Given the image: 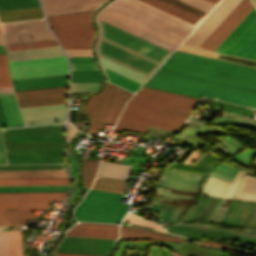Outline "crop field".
I'll return each instance as SVG.
<instances>
[{"label":"crop field","mask_w":256,"mask_h":256,"mask_svg":"<svg viewBox=\"0 0 256 256\" xmlns=\"http://www.w3.org/2000/svg\"><path fill=\"white\" fill-rule=\"evenodd\" d=\"M215 51L256 61L255 7Z\"/></svg>","instance_id":"6"},{"label":"crop field","mask_w":256,"mask_h":256,"mask_svg":"<svg viewBox=\"0 0 256 256\" xmlns=\"http://www.w3.org/2000/svg\"><path fill=\"white\" fill-rule=\"evenodd\" d=\"M0 96H13V93H0Z\"/></svg>","instance_id":"66"},{"label":"crop field","mask_w":256,"mask_h":256,"mask_svg":"<svg viewBox=\"0 0 256 256\" xmlns=\"http://www.w3.org/2000/svg\"><path fill=\"white\" fill-rule=\"evenodd\" d=\"M67 57L92 56L91 49L64 50Z\"/></svg>","instance_id":"49"},{"label":"crop field","mask_w":256,"mask_h":256,"mask_svg":"<svg viewBox=\"0 0 256 256\" xmlns=\"http://www.w3.org/2000/svg\"><path fill=\"white\" fill-rule=\"evenodd\" d=\"M66 193H0V209L49 210V201H64Z\"/></svg>","instance_id":"8"},{"label":"crop field","mask_w":256,"mask_h":256,"mask_svg":"<svg viewBox=\"0 0 256 256\" xmlns=\"http://www.w3.org/2000/svg\"><path fill=\"white\" fill-rule=\"evenodd\" d=\"M68 177L66 170L0 171V178Z\"/></svg>","instance_id":"24"},{"label":"crop field","mask_w":256,"mask_h":256,"mask_svg":"<svg viewBox=\"0 0 256 256\" xmlns=\"http://www.w3.org/2000/svg\"><path fill=\"white\" fill-rule=\"evenodd\" d=\"M0 86H12L7 66H0Z\"/></svg>","instance_id":"48"},{"label":"crop field","mask_w":256,"mask_h":256,"mask_svg":"<svg viewBox=\"0 0 256 256\" xmlns=\"http://www.w3.org/2000/svg\"><path fill=\"white\" fill-rule=\"evenodd\" d=\"M56 256H99V255H81V254H63V253H55Z\"/></svg>","instance_id":"60"},{"label":"crop field","mask_w":256,"mask_h":256,"mask_svg":"<svg viewBox=\"0 0 256 256\" xmlns=\"http://www.w3.org/2000/svg\"><path fill=\"white\" fill-rule=\"evenodd\" d=\"M128 206L127 204L84 198L76 207L74 216L78 219L120 222Z\"/></svg>","instance_id":"10"},{"label":"crop field","mask_w":256,"mask_h":256,"mask_svg":"<svg viewBox=\"0 0 256 256\" xmlns=\"http://www.w3.org/2000/svg\"><path fill=\"white\" fill-rule=\"evenodd\" d=\"M69 60L70 62H94L92 57L69 58Z\"/></svg>","instance_id":"54"},{"label":"crop field","mask_w":256,"mask_h":256,"mask_svg":"<svg viewBox=\"0 0 256 256\" xmlns=\"http://www.w3.org/2000/svg\"><path fill=\"white\" fill-rule=\"evenodd\" d=\"M125 182L123 180L97 176L91 188L122 193Z\"/></svg>","instance_id":"33"},{"label":"crop field","mask_w":256,"mask_h":256,"mask_svg":"<svg viewBox=\"0 0 256 256\" xmlns=\"http://www.w3.org/2000/svg\"><path fill=\"white\" fill-rule=\"evenodd\" d=\"M245 171H238L231 183L210 177L202 192L209 196L228 198L232 197Z\"/></svg>","instance_id":"18"},{"label":"crop field","mask_w":256,"mask_h":256,"mask_svg":"<svg viewBox=\"0 0 256 256\" xmlns=\"http://www.w3.org/2000/svg\"><path fill=\"white\" fill-rule=\"evenodd\" d=\"M198 242L203 243V244H207V245H211V246H221V247H226V248H230V249L239 250V251H243V252H246V253L254 254L251 251H247V250H244V249H240V248H236V247H232V246H228V245H223V244H219V243H215V242H210V241H198Z\"/></svg>","instance_id":"51"},{"label":"crop field","mask_w":256,"mask_h":256,"mask_svg":"<svg viewBox=\"0 0 256 256\" xmlns=\"http://www.w3.org/2000/svg\"><path fill=\"white\" fill-rule=\"evenodd\" d=\"M0 45H4L3 39H2L1 29H0ZM0 53H5L4 46H0Z\"/></svg>","instance_id":"61"},{"label":"crop field","mask_w":256,"mask_h":256,"mask_svg":"<svg viewBox=\"0 0 256 256\" xmlns=\"http://www.w3.org/2000/svg\"><path fill=\"white\" fill-rule=\"evenodd\" d=\"M87 198H93V199H100V200H106V201H113L118 202L121 195L120 194H114L104 191H98L90 189V191L85 196Z\"/></svg>","instance_id":"42"},{"label":"crop field","mask_w":256,"mask_h":256,"mask_svg":"<svg viewBox=\"0 0 256 256\" xmlns=\"http://www.w3.org/2000/svg\"><path fill=\"white\" fill-rule=\"evenodd\" d=\"M72 82H101L99 71H72Z\"/></svg>","instance_id":"39"},{"label":"crop field","mask_w":256,"mask_h":256,"mask_svg":"<svg viewBox=\"0 0 256 256\" xmlns=\"http://www.w3.org/2000/svg\"><path fill=\"white\" fill-rule=\"evenodd\" d=\"M253 7L250 0H242L199 48L214 51Z\"/></svg>","instance_id":"12"},{"label":"crop field","mask_w":256,"mask_h":256,"mask_svg":"<svg viewBox=\"0 0 256 256\" xmlns=\"http://www.w3.org/2000/svg\"><path fill=\"white\" fill-rule=\"evenodd\" d=\"M0 65H7L5 55H0Z\"/></svg>","instance_id":"63"},{"label":"crop field","mask_w":256,"mask_h":256,"mask_svg":"<svg viewBox=\"0 0 256 256\" xmlns=\"http://www.w3.org/2000/svg\"><path fill=\"white\" fill-rule=\"evenodd\" d=\"M132 95V93L107 82L101 92L86 102L85 112L91 123L88 132L95 133L105 124L114 125L124 103Z\"/></svg>","instance_id":"5"},{"label":"crop field","mask_w":256,"mask_h":256,"mask_svg":"<svg viewBox=\"0 0 256 256\" xmlns=\"http://www.w3.org/2000/svg\"><path fill=\"white\" fill-rule=\"evenodd\" d=\"M233 202H234V200H232V202H231V204H230V206H229V210H228V213H227V215H226V217H225V219H224V221H223V224L225 223V221H226V219H227V217H228V214H229V212H230V209H231V207H232V204H233ZM222 220V219H221ZM221 222V221H220Z\"/></svg>","instance_id":"64"},{"label":"crop field","mask_w":256,"mask_h":256,"mask_svg":"<svg viewBox=\"0 0 256 256\" xmlns=\"http://www.w3.org/2000/svg\"><path fill=\"white\" fill-rule=\"evenodd\" d=\"M72 70H98L96 63H70Z\"/></svg>","instance_id":"50"},{"label":"crop field","mask_w":256,"mask_h":256,"mask_svg":"<svg viewBox=\"0 0 256 256\" xmlns=\"http://www.w3.org/2000/svg\"><path fill=\"white\" fill-rule=\"evenodd\" d=\"M104 0H42L46 15L94 9Z\"/></svg>","instance_id":"17"},{"label":"crop field","mask_w":256,"mask_h":256,"mask_svg":"<svg viewBox=\"0 0 256 256\" xmlns=\"http://www.w3.org/2000/svg\"><path fill=\"white\" fill-rule=\"evenodd\" d=\"M42 17L43 15L40 7L0 12L1 22Z\"/></svg>","instance_id":"26"},{"label":"crop field","mask_w":256,"mask_h":256,"mask_svg":"<svg viewBox=\"0 0 256 256\" xmlns=\"http://www.w3.org/2000/svg\"><path fill=\"white\" fill-rule=\"evenodd\" d=\"M0 127H8L0 106Z\"/></svg>","instance_id":"58"},{"label":"crop field","mask_w":256,"mask_h":256,"mask_svg":"<svg viewBox=\"0 0 256 256\" xmlns=\"http://www.w3.org/2000/svg\"><path fill=\"white\" fill-rule=\"evenodd\" d=\"M144 86L256 108V68L178 51Z\"/></svg>","instance_id":"2"},{"label":"crop field","mask_w":256,"mask_h":256,"mask_svg":"<svg viewBox=\"0 0 256 256\" xmlns=\"http://www.w3.org/2000/svg\"><path fill=\"white\" fill-rule=\"evenodd\" d=\"M200 158L204 159L206 162H208L210 165H212L214 167V165L216 163H218L219 161H217L216 159H214L213 157L209 156V155H206V154H203ZM198 161H200L201 163H203L205 166L209 167V168H213L211 167L208 163H206L204 160L200 159ZM196 162L195 164H193L195 167L199 168V169H202L204 171H209L210 169L205 167L204 165H202L200 162ZM172 165H176V166H180V167H184V168H188V169H192V170H196V171H200V172H204L202 170H199L191 165H187V164H180V163H176V162H173ZM172 165H169L170 167H174V168H178V169H181V170H185V171H189V172H193V173H197V174H201V175H204L203 173H199V172H195V171H191V170H188V169H184V168H180V167H176V166H172ZM206 173V172H204Z\"/></svg>","instance_id":"34"},{"label":"crop field","mask_w":256,"mask_h":256,"mask_svg":"<svg viewBox=\"0 0 256 256\" xmlns=\"http://www.w3.org/2000/svg\"><path fill=\"white\" fill-rule=\"evenodd\" d=\"M8 164L65 163L64 150L5 151Z\"/></svg>","instance_id":"15"},{"label":"crop field","mask_w":256,"mask_h":256,"mask_svg":"<svg viewBox=\"0 0 256 256\" xmlns=\"http://www.w3.org/2000/svg\"><path fill=\"white\" fill-rule=\"evenodd\" d=\"M120 239H156L183 242L184 240L167 235L157 234L137 228L121 226Z\"/></svg>","instance_id":"21"},{"label":"crop field","mask_w":256,"mask_h":256,"mask_svg":"<svg viewBox=\"0 0 256 256\" xmlns=\"http://www.w3.org/2000/svg\"><path fill=\"white\" fill-rule=\"evenodd\" d=\"M68 184V178L0 179V185Z\"/></svg>","instance_id":"29"},{"label":"crop field","mask_w":256,"mask_h":256,"mask_svg":"<svg viewBox=\"0 0 256 256\" xmlns=\"http://www.w3.org/2000/svg\"><path fill=\"white\" fill-rule=\"evenodd\" d=\"M98 18L171 52L190 31L123 0H114ZM97 18V53L149 77L171 52Z\"/></svg>","instance_id":"1"},{"label":"crop field","mask_w":256,"mask_h":256,"mask_svg":"<svg viewBox=\"0 0 256 256\" xmlns=\"http://www.w3.org/2000/svg\"><path fill=\"white\" fill-rule=\"evenodd\" d=\"M54 45H57L56 40L37 42V43H27V44H22V45L21 44L9 45V46H6V48H7V51H11V50L46 47V46H54Z\"/></svg>","instance_id":"43"},{"label":"crop field","mask_w":256,"mask_h":256,"mask_svg":"<svg viewBox=\"0 0 256 256\" xmlns=\"http://www.w3.org/2000/svg\"><path fill=\"white\" fill-rule=\"evenodd\" d=\"M92 11L47 16V20L63 49L91 48L94 28Z\"/></svg>","instance_id":"4"},{"label":"crop field","mask_w":256,"mask_h":256,"mask_svg":"<svg viewBox=\"0 0 256 256\" xmlns=\"http://www.w3.org/2000/svg\"><path fill=\"white\" fill-rule=\"evenodd\" d=\"M246 205H247V202H246V204H245V207H246ZM246 209H247V208H246ZM244 211H245V208H244ZM243 213H244V212H243ZM245 214H246V212H245ZM244 217H245V215L242 214L241 219H240V221H239V223H238L239 226L241 225V223H242Z\"/></svg>","instance_id":"65"},{"label":"crop field","mask_w":256,"mask_h":256,"mask_svg":"<svg viewBox=\"0 0 256 256\" xmlns=\"http://www.w3.org/2000/svg\"><path fill=\"white\" fill-rule=\"evenodd\" d=\"M255 213H256V204H255V206H254V208H253V210H252V213H251V215H250L249 221H248L247 226H246L245 229H249V228H250V226H251V224H252V221H253V218H254V216H255Z\"/></svg>","instance_id":"57"},{"label":"crop field","mask_w":256,"mask_h":256,"mask_svg":"<svg viewBox=\"0 0 256 256\" xmlns=\"http://www.w3.org/2000/svg\"><path fill=\"white\" fill-rule=\"evenodd\" d=\"M99 58H100V61H101L103 67L110 69L116 73H119L125 77H128L132 80H135L141 84H143L145 82V80L147 79V77H145L139 73H136L130 69H127L119 64H116L110 60H107L101 56H99Z\"/></svg>","instance_id":"31"},{"label":"crop field","mask_w":256,"mask_h":256,"mask_svg":"<svg viewBox=\"0 0 256 256\" xmlns=\"http://www.w3.org/2000/svg\"><path fill=\"white\" fill-rule=\"evenodd\" d=\"M66 235L117 238L118 226L79 223L70 229Z\"/></svg>","instance_id":"20"},{"label":"crop field","mask_w":256,"mask_h":256,"mask_svg":"<svg viewBox=\"0 0 256 256\" xmlns=\"http://www.w3.org/2000/svg\"><path fill=\"white\" fill-rule=\"evenodd\" d=\"M82 161H83L84 185L85 187H89L96 174L99 161L85 160V159H82Z\"/></svg>","instance_id":"38"},{"label":"crop field","mask_w":256,"mask_h":256,"mask_svg":"<svg viewBox=\"0 0 256 256\" xmlns=\"http://www.w3.org/2000/svg\"><path fill=\"white\" fill-rule=\"evenodd\" d=\"M68 185L0 186V192L67 191Z\"/></svg>","instance_id":"30"},{"label":"crop field","mask_w":256,"mask_h":256,"mask_svg":"<svg viewBox=\"0 0 256 256\" xmlns=\"http://www.w3.org/2000/svg\"><path fill=\"white\" fill-rule=\"evenodd\" d=\"M253 2L255 3V5H256V0H253Z\"/></svg>","instance_id":"69"},{"label":"crop field","mask_w":256,"mask_h":256,"mask_svg":"<svg viewBox=\"0 0 256 256\" xmlns=\"http://www.w3.org/2000/svg\"><path fill=\"white\" fill-rule=\"evenodd\" d=\"M236 202H237V201L234 202V205H233V207H232L231 213H232V211H233V209H234V206H235ZM238 203H239V201L237 202V204H236V206H235V209H234L232 215H231V213H230L231 216H234V213H235V211H236V208H237ZM240 203H241V202H240ZM240 203H239V205H240ZM238 207H239V206H238ZM237 210H238V208H237ZM236 212H237V211H236ZM230 215H229V216H230ZM234 217H235V216H234ZM229 219H230V217H228L226 224L228 223ZM233 220H234V218H231V220H230V222H229V225H232Z\"/></svg>","instance_id":"56"},{"label":"crop field","mask_w":256,"mask_h":256,"mask_svg":"<svg viewBox=\"0 0 256 256\" xmlns=\"http://www.w3.org/2000/svg\"><path fill=\"white\" fill-rule=\"evenodd\" d=\"M211 199H212V198H210V197L208 198V202H207L208 204L210 203ZM215 201H216V199H215V198H213V200H212V202H211L210 206L207 204V205L209 206L208 211L206 210V211H207V213H206V211H205L206 207H205V209L203 210V212L205 211L206 215H205V213H204V215H205V216L202 218V216H203V215H202V214H203V212H202V214H201V216L198 218V220H201V218H202V220H203V221H205L206 217H207V216H208V214L211 212V210H212V208H213V205H214Z\"/></svg>","instance_id":"53"},{"label":"crop field","mask_w":256,"mask_h":256,"mask_svg":"<svg viewBox=\"0 0 256 256\" xmlns=\"http://www.w3.org/2000/svg\"><path fill=\"white\" fill-rule=\"evenodd\" d=\"M40 6L38 0H0V11Z\"/></svg>","instance_id":"36"},{"label":"crop field","mask_w":256,"mask_h":256,"mask_svg":"<svg viewBox=\"0 0 256 256\" xmlns=\"http://www.w3.org/2000/svg\"><path fill=\"white\" fill-rule=\"evenodd\" d=\"M79 131H77L75 128H73L70 124H69V129H68V141L70 140V138L72 136H74L76 133H78Z\"/></svg>","instance_id":"59"},{"label":"crop field","mask_w":256,"mask_h":256,"mask_svg":"<svg viewBox=\"0 0 256 256\" xmlns=\"http://www.w3.org/2000/svg\"><path fill=\"white\" fill-rule=\"evenodd\" d=\"M0 256H10L7 231H0Z\"/></svg>","instance_id":"47"},{"label":"crop field","mask_w":256,"mask_h":256,"mask_svg":"<svg viewBox=\"0 0 256 256\" xmlns=\"http://www.w3.org/2000/svg\"><path fill=\"white\" fill-rule=\"evenodd\" d=\"M234 197L238 199L256 200V178L245 175Z\"/></svg>","instance_id":"32"},{"label":"crop field","mask_w":256,"mask_h":256,"mask_svg":"<svg viewBox=\"0 0 256 256\" xmlns=\"http://www.w3.org/2000/svg\"><path fill=\"white\" fill-rule=\"evenodd\" d=\"M124 220L132 222V223H135L137 225H141V226H145V227H149V228H153V229H157V230L163 231L162 228L159 225L154 224L152 222H149L147 220H144L142 218L136 217V216L131 215V214H127L126 217L124 218Z\"/></svg>","instance_id":"44"},{"label":"crop field","mask_w":256,"mask_h":256,"mask_svg":"<svg viewBox=\"0 0 256 256\" xmlns=\"http://www.w3.org/2000/svg\"><path fill=\"white\" fill-rule=\"evenodd\" d=\"M66 169L64 164L0 165V170Z\"/></svg>","instance_id":"37"},{"label":"crop field","mask_w":256,"mask_h":256,"mask_svg":"<svg viewBox=\"0 0 256 256\" xmlns=\"http://www.w3.org/2000/svg\"><path fill=\"white\" fill-rule=\"evenodd\" d=\"M0 164H6L4 149L2 144L1 132H0Z\"/></svg>","instance_id":"55"},{"label":"crop field","mask_w":256,"mask_h":256,"mask_svg":"<svg viewBox=\"0 0 256 256\" xmlns=\"http://www.w3.org/2000/svg\"><path fill=\"white\" fill-rule=\"evenodd\" d=\"M255 218H256V216H255ZM255 220V219H254ZM253 223H254V221H253ZM253 225V224H252ZM256 225V224H255ZM252 227V226H251ZM251 229V228H250ZM254 230H256V227H255V229Z\"/></svg>","instance_id":"68"},{"label":"crop field","mask_w":256,"mask_h":256,"mask_svg":"<svg viewBox=\"0 0 256 256\" xmlns=\"http://www.w3.org/2000/svg\"><path fill=\"white\" fill-rule=\"evenodd\" d=\"M202 197H204V196H202ZM200 198H201V196H200ZM200 198H199V201H200ZM203 199H204V198H203ZM201 200H202V198H201ZM206 201H207V198L205 197L204 202H203V205H202V207H201V209H200V211H199L198 214H197V212H198V210H199V208H200L201 205H200V204H199V205L197 204L198 207H197V205H196L197 209H196V207L194 208V210H193V212H192V214H191V216H190V218H189V221H190V219H191V217H192V215H193L195 209H196V211H195V213H194L192 219L194 220L196 214H197V216H196L195 220L199 217V215H200V213H201V211H202V209H203V207H204ZM200 202H201V201H200ZM198 203H199V202H198ZM192 219H191V220H192Z\"/></svg>","instance_id":"52"},{"label":"crop field","mask_w":256,"mask_h":256,"mask_svg":"<svg viewBox=\"0 0 256 256\" xmlns=\"http://www.w3.org/2000/svg\"><path fill=\"white\" fill-rule=\"evenodd\" d=\"M208 106L219 107V108H223V110H225V111L239 113V114L254 117L253 111L250 108H245V107H241V106H236V105H231V104H227V103L217 102V101H213V100L210 101Z\"/></svg>","instance_id":"40"},{"label":"crop field","mask_w":256,"mask_h":256,"mask_svg":"<svg viewBox=\"0 0 256 256\" xmlns=\"http://www.w3.org/2000/svg\"><path fill=\"white\" fill-rule=\"evenodd\" d=\"M208 1H210V2H212V3H214V4H216L219 0H208Z\"/></svg>","instance_id":"67"},{"label":"crop field","mask_w":256,"mask_h":256,"mask_svg":"<svg viewBox=\"0 0 256 256\" xmlns=\"http://www.w3.org/2000/svg\"><path fill=\"white\" fill-rule=\"evenodd\" d=\"M130 167L131 166L128 165L101 161L97 175L126 180L130 171Z\"/></svg>","instance_id":"27"},{"label":"crop field","mask_w":256,"mask_h":256,"mask_svg":"<svg viewBox=\"0 0 256 256\" xmlns=\"http://www.w3.org/2000/svg\"><path fill=\"white\" fill-rule=\"evenodd\" d=\"M11 256H24L22 254V234L19 231H8Z\"/></svg>","instance_id":"41"},{"label":"crop field","mask_w":256,"mask_h":256,"mask_svg":"<svg viewBox=\"0 0 256 256\" xmlns=\"http://www.w3.org/2000/svg\"><path fill=\"white\" fill-rule=\"evenodd\" d=\"M37 219L27 210H0V225H27L26 220Z\"/></svg>","instance_id":"25"},{"label":"crop field","mask_w":256,"mask_h":256,"mask_svg":"<svg viewBox=\"0 0 256 256\" xmlns=\"http://www.w3.org/2000/svg\"><path fill=\"white\" fill-rule=\"evenodd\" d=\"M68 86L15 92L20 108L66 103Z\"/></svg>","instance_id":"13"},{"label":"crop field","mask_w":256,"mask_h":256,"mask_svg":"<svg viewBox=\"0 0 256 256\" xmlns=\"http://www.w3.org/2000/svg\"><path fill=\"white\" fill-rule=\"evenodd\" d=\"M0 104L9 127L23 126L14 98L0 97Z\"/></svg>","instance_id":"28"},{"label":"crop field","mask_w":256,"mask_h":256,"mask_svg":"<svg viewBox=\"0 0 256 256\" xmlns=\"http://www.w3.org/2000/svg\"><path fill=\"white\" fill-rule=\"evenodd\" d=\"M4 141L64 140L63 124L2 130Z\"/></svg>","instance_id":"14"},{"label":"crop field","mask_w":256,"mask_h":256,"mask_svg":"<svg viewBox=\"0 0 256 256\" xmlns=\"http://www.w3.org/2000/svg\"><path fill=\"white\" fill-rule=\"evenodd\" d=\"M196 100L142 87L125 106L114 129L144 133L150 125L176 131L191 114Z\"/></svg>","instance_id":"3"},{"label":"crop field","mask_w":256,"mask_h":256,"mask_svg":"<svg viewBox=\"0 0 256 256\" xmlns=\"http://www.w3.org/2000/svg\"><path fill=\"white\" fill-rule=\"evenodd\" d=\"M100 83H72L71 92H94Z\"/></svg>","instance_id":"45"},{"label":"crop field","mask_w":256,"mask_h":256,"mask_svg":"<svg viewBox=\"0 0 256 256\" xmlns=\"http://www.w3.org/2000/svg\"><path fill=\"white\" fill-rule=\"evenodd\" d=\"M6 45L52 40L43 19L2 24Z\"/></svg>","instance_id":"9"},{"label":"crop field","mask_w":256,"mask_h":256,"mask_svg":"<svg viewBox=\"0 0 256 256\" xmlns=\"http://www.w3.org/2000/svg\"><path fill=\"white\" fill-rule=\"evenodd\" d=\"M13 79L68 73L64 56L9 62Z\"/></svg>","instance_id":"7"},{"label":"crop field","mask_w":256,"mask_h":256,"mask_svg":"<svg viewBox=\"0 0 256 256\" xmlns=\"http://www.w3.org/2000/svg\"><path fill=\"white\" fill-rule=\"evenodd\" d=\"M5 150L64 149V141L4 142Z\"/></svg>","instance_id":"22"},{"label":"crop field","mask_w":256,"mask_h":256,"mask_svg":"<svg viewBox=\"0 0 256 256\" xmlns=\"http://www.w3.org/2000/svg\"><path fill=\"white\" fill-rule=\"evenodd\" d=\"M26 125L63 121L66 104L20 109Z\"/></svg>","instance_id":"16"},{"label":"crop field","mask_w":256,"mask_h":256,"mask_svg":"<svg viewBox=\"0 0 256 256\" xmlns=\"http://www.w3.org/2000/svg\"><path fill=\"white\" fill-rule=\"evenodd\" d=\"M103 69H104L109 81H111L119 86H122L132 92H135L141 86V84H139L135 81L125 78L119 74L112 72V71H109L110 69L109 70H107L105 68H103Z\"/></svg>","instance_id":"35"},{"label":"crop field","mask_w":256,"mask_h":256,"mask_svg":"<svg viewBox=\"0 0 256 256\" xmlns=\"http://www.w3.org/2000/svg\"><path fill=\"white\" fill-rule=\"evenodd\" d=\"M184 3H187L195 8H198L206 13H208L211 8L214 6V4L205 1V0H180Z\"/></svg>","instance_id":"46"},{"label":"crop field","mask_w":256,"mask_h":256,"mask_svg":"<svg viewBox=\"0 0 256 256\" xmlns=\"http://www.w3.org/2000/svg\"><path fill=\"white\" fill-rule=\"evenodd\" d=\"M116 239L65 236L56 252L109 255Z\"/></svg>","instance_id":"11"},{"label":"crop field","mask_w":256,"mask_h":256,"mask_svg":"<svg viewBox=\"0 0 256 256\" xmlns=\"http://www.w3.org/2000/svg\"><path fill=\"white\" fill-rule=\"evenodd\" d=\"M9 61L63 55L59 47L7 52Z\"/></svg>","instance_id":"23"},{"label":"crop field","mask_w":256,"mask_h":256,"mask_svg":"<svg viewBox=\"0 0 256 256\" xmlns=\"http://www.w3.org/2000/svg\"><path fill=\"white\" fill-rule=\"evenodd\" d=\"M15 91L68 85V74L13 80Z\"/></svg>","instance_id":"19"},{"label":"crop field","mask_w":256,"mask_h":256,"mask_svg":"<svg viewBox=\"0 0 256 256\" xmlns=\"http://www.w3.org/2000/svg\"><path fill=\"white\" fill-rule=\"evenodd\" d=\"M0 92H13L12 87H0Z\"/></svg>","instance_id":"62"}]
</instances>
